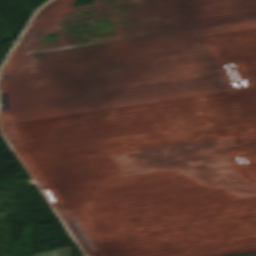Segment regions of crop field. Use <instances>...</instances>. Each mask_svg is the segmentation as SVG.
I'll return each instance as SVG.
<instances>
[{
    "label": "crop field",
    "instance_id": "obj_1",
    "mask_svg": "<svg viewBox=\"0 0 256 256\" xmlns=\"http://www.w3.org/2000/svg\"><path fill=\"white\" fill-rule=\"evenodd\" d=\"M59 250L60 249L41 252V253H35V254H33V256H59ZM61 256H72L71 255V247L62 248Z\"/></svg>",
    "mask_w": 256,
    "mask_h": 256
}]
</instances>
